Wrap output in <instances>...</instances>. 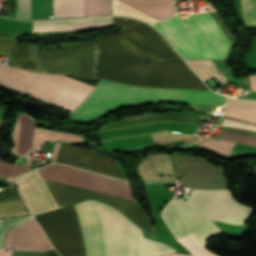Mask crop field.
Listing matches in <instances>:
<instances>
[{"label":"crop field","mask_w":256,"mask_h":256,"mask_svg":"<svg viewBox=\"0 0 256 256\" xmlns=\"http://www.w3.org/2000/svg\"><path fill=\"white\" fill-rule=\"evenodd\" d=\"M37 170L45 179L136 201L127 182L59 164ZM45 179L43 180L59 208L83 199L103 201L123 212L132 222L155 238L152 220L138 202ZM95 200L74 205L86 256H153L175 251L167 245L144 239L140 228L123 214ZM74 207L72 205L35 216L61 256H85Z\"/></svg>","instance_id":"crop-field-1"},{"label":"crop field","mask_w":256,"mask_h":256,"mask_svg":"<svg viewBox=\"0 0 256 256\" xmlns=\"http://www.w3.org/2000/svg\"><path fill=\"white\" fill-rule=\"evenodd\" d=\"M123 31L95 41V79L164 88L209 90L165 39L134 19L113 17Z\"/></svg>","instance_id":"crop-field-2"},{"label":"crop field","mask_w":256,"mask_h":256,"mask_svg":"<svg viewBox=\"0 0 256 256\" xmlns=\"http://www.w3.org/2000/svg\"><path fill=\"white\" fill-rule=\"evenodd\" d=\"M227 98L205 91L155 89L100 80L87 99L71 114L74 121H91L115 107L143 102L172 101L224 105ZM193 110L220 115L223 106L189 104Z\"/></svg>","instance_id":"crop-field-3"},{"label":"crop field","mask_w":256,"mask_h":256,"mask_svg":"<svg viewBox=\"0 0 256 256\" xmlns=\"http://www.w3.org/2000/svg\"><path fill=\"white\" fill-rule=\"evenodd\" d=\"M153 26L187 59L226 58L232 47L210 12L189 18L176 15Z\"/></svg>","instance_id":"crop-field-4"},{"label":"crop field","mask_w":256,"mask_h":256,"mask_svg":"<svg viewBox=\"0 0 256 256\" xmlns=\"http://www.w3.org/2000/svg\"><path fill=\"white\" fill-rule=\"evenodd\" d=\"M0 81L8 83L12 86L22 88L31 93L40 95L51 101H55L65 105L71 109H76L87 94L92 90L93 86L81 83L64 75L39 74L27 72L0 64ZM10 88L20 90L26 93L28 91L12 87L8 84L2 83ZM29 93V94H31ZM31 94L35 97L63 107L72 112V110L44 99L40 96Z\"/></svg>","instance_id":"crop-field-5"},{"label":"crop field","mask_w":256,"mask_h":256,"mask_svg":"<svg viewBox=\"0 0 256 256\" xmlns=\"http://www.w3.org/2000/svg\"><path fill=\"white\" fill-rule=\"evenodd\" d=\"M161 217L176 239L192 233L204 245L221 233L207 217L179 199L172 198L161 211Z\"/></svg>","instance_id":"crop-field-6"},{"label":"crop field","mask_w":256,"mask_h":256,"mask_svg":"<svg viewBox=\"0 0 256 256\" xmlns=\"http://www.w3.org/2000/svg\"><path fill=\"white\" fill-rule=\"evenodd\" d=\"M185 202L202 211L211 219L235 224H244L252 216L253 210L233 200L229 190L192 189Z\"/></svg>","instance_id":"crop-field-7"},{"label":"crop field","mask_w":256,"mask_h":256,"mask_svg":"<svg viewBox=\"0 0 256 256\" xmlns=\"http://www.w3.org/2000/svg\"><path fill=\"white\" fill-rule=\"evenodd\" d=\"M37 53L42 71L45 73H63L92 78L93 44Z\"/></svg>","instance_id":"crop-field-8"},{"label":"crop field","mask_w":256,"mask_h":256,"mask_svg":"<svg viewBox=\"0 0 256 256\" xmlns=\"http://www.w3.org/2000/svg\"><path fill=\"white\" fill-rule=\"evenodd\" d=\"M12 138L15 144L12 152L22 156H26L27 152L34 148L38 149L50 140L84 142L78 135L36 129L33 126V118L25 114H20Z\"/></svg>","instance_id":"crop-field-9"},{"label":"crop field","mask_w":256,"mask_h":256,"mask_svg":"<svg viewBox=\"0 0 256 256\" xmlns=\"http://www.w3.org/2000/svg\"><path fill=\"white\" fill-rule=\"evenodd\" d=\"M55 161L126 180L117 161L96 155L90 150L61 144Z\"/></svg>","instance_id":"crop-field-10"},{"label":"crop field","mask_w":256,"mask_h":256,"mask_svg":"<svg viewBox=\"0 0 256 256\" xmlns=\"http://www.w3.org/2000/svg\"><path fill=\"white\" fill-rule=\"evenodd\" d=\"M33 216L58 209L37 170L13 179Z\"/></svg>","instance_id":"crop-field-11"},{"label":"crop field","mask_w":256,"mask_h":256,"mask_svg":"<svg viewBox=\"0 0 256 256\" xmlns=\"http://www.w3.org/2000/svg\"><path fill=\"white\" fill-rule=\"evenodd\" d=\"M51 247L38 224L31 218L7 233L4 244L6 249L41 250Z\"/></svg>","instance_id":"crop-field-12"},{"label":"crop field","mask_w":256,"mask_h":256,"mask_svg":"<svg viewBox=\"0 0 256 256\" xmlns=\"http://www.w3.org/2000/svg\"><path fill=\"white\" fill-rule=\"evenodd\" d=\"M110 14V0H84V15ZM83 15V0H54L53 16Z\"/></svg>","instance_id":"crop-field-13"},{"label":"crop field","mask_w":256,"mask_h":256,"mask_svg":"<svg viewBox=\"0 0 256 256\" xmlns=\"http://www.w3.org/2000/svg\"><path fill=\"white\" fill-rule=\"evenodd\" d=\"M138 175L144 182L175 181L170 156L164 154L149 155L144 159Z\"/></svg>","instance_id":"crop-field-14"},{"label":"crop field","mask_w":256,"mask_h":256,"mask_svg":"<svg viewBox=\"0 0 256 256\" xmlns=\"http://www.w3.org/2000/svg\"><path fill=\"white\" fill-rule=\"evenodd\" d=\"M193 118L194 116H187V115L147 114V115L127 118L123 121L109 124L101 128V131L138 126V125H145V124H152V123H158V122H164V121L193 123Z\"/></svg>","instance_id":"crop-field-15"},{"label":"crop field","mask_w":256,"mask_h":256,"mask_svg":"<svg viewBox=\"0 0 256 256\" xmlns=\"http://www.w3.org/2000/svg\"><path fill=\"white\" fill-rule=\"evenodd\" d=\"M105 25H113L111 17L43 21V33Z\"/></svg>","instance_id":"crop-field-16"},{"label":"crop field","mask_w":256,"mask_h":256,"mask_svg":"<svg viewBox=\"0 0 256 256\" xmlns=\"http://www.w3.org/2000/svg\"><path fill=\"white\" fill-rule=\"evenodd\" d=\"M0 54L11 55L13 66L40 72L28 46L0 43Z\"/></svg>","instance_id":"crop-field-17"},{"label":"crop field","mask_w":256,"mask_h":256,"mask_svg":"<svg viewBox=\"0 0 256 256\" xmlns=\"http://www.w3.org/2000/svg\"><path fill=\"white\" fill-rule=\"evenodd\" d=\"M159 20L175 14L173 0H121Z\"/></svg>","instance_id":"crop-field-18"},{"label":"crop field","mask_w":256,"mask_h":256,"mask_svg":"<svg viewBox=\"0 0 256 256\" xmlns=\"http://www.w3.org/2000/svg\"><path fill=\"white\" fill-rule=\"evenodd\" d=\"M229 102L256 105V101H240V100L229 99L227 102V105ZM227 105H226V108H227ZM225 110H224V113H225ZM224 116L256 123V106L238 105V104L230 103Z\"/></svg>","instance_id":"crop-field-19"},{"label":"crop field","mask_w":256,"mask_h":256,"mask_svg":"<svg viewBox=\"0 0 256 256\" xmlns=\"http://www.w3.org/2000/svg\"><path fill=\"white\" fill-rule=\"evenodd\" d=\"M203 81L216 77L220 84L225 82V76L218 71L210 60H186Z\"/></svg>","instance_id":"crop-field-20"},{"label":"crop field","mask_w":256,"mask_h":256,"mask_svg":"<svg viewBox=\"0 0 256 256\" xmlns=\"http://www.w3.org/2000/svg\"><path fill=\"white\" fill-rule=\"evenodd\" d=\"M224 132L238 134V135H244V136H250V137H256V132L241 130V129H237V128L225 127ZM226 133L222 134L221 139L256 146V138H250V137H244V136H238V135H232V134H226Z\"/></svg>","instance_id":"crop-field-21"},{"label":"crop field","mask_w":256,"mask_h":256,"mask_svg":"<svg viewBox=\"0 0 256 256\" xmlns=\"http://www.w3.org/2000/svg\"><path fill=\"white\" fill-rule=\"evenodd\" d=\"M178 241L194 256H218L203 247L192 234L180 238Z\"/></svg>","instance_id":"crop-field-22"},{"label":"crop field","mask_w":256,"mask_h":256,"mask_svg":"<svg viewBox=\"0 0 256 256\" xmlns=\"http://www.w3.org/2000/svg\"><path fill=\"white\" fill-rule=\"evenodd\" d=\"M241 7L245 24L256 25V0H241Z\"/></svg>","instance_id":"crop-field-23"},{"label":"crop field","mask_w":256,"mask_h":256,"mask_svg":"<svg viewBox=\"0 0 256 256\" xmlns=\"http://www.w3.org/2000/svg\"><path fill=\"white\" fill-rule=\"evenodd\" d=\"M29 171H31L30 168L16 166L0 161V175L6 178H14Z\"/></svg>","instance_id":"crop-field-24"},{"label":"crop field","mask_w":256,"mask_h":256,"mask_svg":"<svg viewBox=\"0 0 256 256\" xmlns=\"http://www.w3.org/2000/svg\"><path fill=\"white\" fill-rule=\"evenodd\" d=\"M17 18L30 19V0H15Z\"/></svg>","instance_id":"crop-field-25"},{"label":"crop field","mask_w":256,"mask_h":256,"mask_svg":"<svg viewBox=\"0 0 256 256\" xmlns=\"http://www.w3.org/2000/svg\"><path fill=\"white\" fill-rule=\"evenodd\" d=\"M28 218L29 217L0 220V246L3 243V235H4L5 231L13 225L16 226V225H19V224L25 222Z\"/></svg>","instance_id":"crop-field-26"},{"label":"crop field","mask_w":256,"mask_h":256,"mask_svg":"<svg viewBox=\"0 0 256 256\" xmlns=\"http://www.w3.org/2000/svg\"><path fill=\"white\" fill-rule=\"evenodd\" d=\"M222 125L236 126V127H242V128H248V129L256 130L255 125L246 124V123H242V122H238V121H234V120H230V119H226V118L223 119Z\"/></svg>","instance_id":"crop-field-27"},{"label":"crop field","mask_w":256,"mask_h":256,"mask_svg":"<svg viewBox=\"0 0 256 256\" xmlns=\"http://www.w3.org/2000/svg\"><path fill=\"white\" fill-rule=\"evenodd\" d=\"M12 256H44V251H41V252L14 251Z\"/></svg>","instance_id":"crop-field-28"},{"label":"crop field","mask_w":256,"mask_h":256,"mask_svg":"<svg viewBox=\"0 0 256 256\" xmlns=\"http://www.w3.org/2000/svg\"><path fill=\"white\" fill-rule=\"evenodd\" d=\"M45 256H59L54 249H49L46 251Z\"/></svg>","instance_id":"crop-field-29"},{"label":"crop field","mask_w":256,"mask_h":256,"mask_svg":"<svg viewBox=\"0 0 256 256\" xmlns=\"http://www.w3.org/2000/svg\"><path fill=\"white\" fill-rule=\"evenodd\" d=\"M248 90H254V91H256V75L254 76V78H253V80H252V83H251V85H250V87H249Z\"/></svg>","instance_id":"crop-field-30"},{"label":"crop field","mask_w":256,"mask_h":256,"mask_svg":"<svg viewBox=\"0 0 256 256\" xmlns=\"http://www.w3.org/2000/svg\"><path fill=\"white\" fill-rule=\"evenodd\" d=\"M59 145H60V144H57V143H55V145H54L52 160L55 159V156H56V153H57V151H58Z\"/></svg>","instance_id":"crop-field-31"},{"label":"crop field","mask_w":256,"mask_h":256,"mask_svg":"<svg viewBox=\"0 0 256 256\" xmlns=\"http://www.w3.org/2000/svg\"><path fill=\"white\" fill-rule=\"evenodd\" d=\"M10 251L0 250V256H9Z\"/></svg>","instance_id":"crop-field-32"},{"label":"crop field","mask_w":256,"mask_h":256,"mask_svg":"<svg viewBox=\"0 0 256 256\" xmlns=\"http://www.w3.org/2000/svg\"><path fill=\"white\" fill-rule=\"evenodd\" d=\"M163 256H187V255H179V254H163Z\"/></svg>","instance_id":"crop-field-33"},{"label":"crop field","mask_w":256,"mask_h":256,"mask_svg":"<svg viewBox=\"0 0 256 256\" xmlns=\"http://www.w3.org/2000/svg\"><path fill=\"white\" fill-rule=\"evenodd\" d=\"M161 256V255H160Z\"/></svg>","instance_id":"crop-field-34"}]
</instances>
